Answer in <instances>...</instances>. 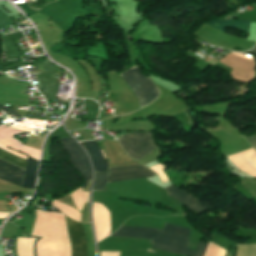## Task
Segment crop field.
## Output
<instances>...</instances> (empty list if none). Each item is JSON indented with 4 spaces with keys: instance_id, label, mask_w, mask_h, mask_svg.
Here are the masks:
<instances>
[{
    "instance_id": "obj_6",
    "label": "crop field",
    "mask_w": 256,
    "mask_h": 256,
    "mask_svg": "<svg viewBox=\"0 0 256 256\" xmlns=\"http://www.w3.org/2000/svg\"><path fill=\"white\" fill-rule=\"evenodd\" d=\"M61 140L63 148L68 154L74 167L84 178L83 187H86L88 179H91V169L86 154L72 138Z\"/></svg>"
},
{
    "instance_id": "obj_4",
    "label": "crop field",
    "mask_w": 256,
    "mask_h": 256,
    "mask_svg": "<svg viewBox=\"0 0 256 256\" xmlns=\"http://www.w3.org/2000/svg\"><path fill=\"white\" fill-rule=\"evenodd\" d=\"M120 76L136 94L140 107L151 103L159 97L160 90L150 78L144 77L136 66L128 69Z\"/></svg>"
},
{
    "instance_id": "obj_15",
    "label": "crop field",
    "mask_w": 256,
    "mask_h": 256,
    "mask_svg": "<svg viewBox=\"0 0 256 256\" xmlns=\"http://www.w3.org/2000/svg\"><path fill=\"white\" fill-rule=\"evenodd\" d=\"M0 109L6 111L7 116L10 115V114L13 115V116H15V117H17V118L20 116V115H19L18 113H16L14 110L8 109V108H6V107L3 106V105H0ZM0 120H1V119H0ZM0 125H2L1 122H0Z\"/></svg>"
},
{
    "instance_id": "obj_26",
    "label": "crop field",
    "mask_w": 256,
    "mask_h": 256,
    "mask_svg": "<svg viewBox=\"0 0 256 256\" xmlns=\"http://www.w3.org/2000/svg\"><path fill=\"white\" fill-rule=\"evenodd\" d=\"M211 59V58H210ZM213 60V59H212Z\"/></svg>"
},
{
    "instance_id": "obj_12",
    "label": "crop field",
    "mask_w": 256,
    "mask_h": 256,
    "mask_svg": "<svg viewBox=\"0 0 256 256\" xmlns=\"http://www.w3.org/2000/svg\"><path fill=\"white\" fill-rule=\"evenodd\" d=\"M106 174H107V171L95 172L94 189L106 191Z\"/></svg>"
},
{
    "instance_id": "obj_17",
    "label": "crop field",
    "mask_w": 256,
    "mask_h": 256,
    "mask_svg": "<svg viewBox=\"0 0 256 256\" xmlns=\"http://www.w3.org/2000/svg\"><path fill=\"white\" fill-rule=\"evenodd\" d=\"M17 237H26V236H16L15 237V244H14L15 256H17V251H16V238ZM26 238H29V237H26ZM36 238H38V239L34 242V256H36V242L40 239L39 237H36Z\"/></svg>"
},
{
    "instance_id": "obj_14",
    "label": "crop field",
    "mask_w": 256,
    "mask_h": 256,
    "mask_svg": "<svg viewBox=\"0 0 256 256\" xmlns=\"http://www.w3.org/2000/svg\"><path fill=\"white\" fill-rule=\"evenodd\" d=\"M150 169H152L153 171H155L157 173V175L160 177L161 181L167 180V177L165 176V174L162 171L165 168L161 164L153 166V167H150ZM168 181L169 180L163 181L162 183L168 182Z\"/></svg>"
},
{
    "instance_id": "obj_5",
    "label": "crop field",
    "mask_w": 256,
    "mask_h": 256,
    "mask_svg": "<svg viewBox=\"0 0 256 256\" xmlns=\"http://www.w3.org/2000/svg\"><path fill=\"white\" fill-rule=\"evenodd\" d=\"M118 141L129 156L138 161L157 148L152 133H128Z\"/></svg>"
},
{
    "instance_id": "obj_21",
    "label": "crop field",
    "mask_w": 256,
    "mask_h": 256,
    "mask_svg": "<svg viewBox=\"0 0 256 256\" xmlns=\"http://www.w3.org/2000/svg\"><path fill=\"white\" fill-rule=\"evenodd\" d=\"M205 60H207V61H209L210 63H212V64H214L215 62H213V61H211V60H209V59H205Z\"/></svg>"
},
{
    "instance_id": "obj_16",
    "label": "crop field",
    "mask_w": 256,
    "mask_h": 256,
    "mask_svg": "<svg viewBox=\"0 0 256 256\" xmlns=\"http://www.w3.org/2000/svg\"><path fill=\"white\" fill-rule=\"evenodd\" d=\"M243 137L247 140V142H248L253 148L256 149V135L253 136V137H245V136H243Z\"/></svg>"
},
{
    "instance_id": "obj_10",
    "label": "crop field",
    "mask_w": 256,
    "mask_h": 256,
    "mask_svg": "<svg viewBox=\"0 0 256 256\" xmlns=\"http://www.w3.org/2000/svg\"><path fill=\"white\" fill-rule=\"evenodd\" d=\"M207 24H209L221 31H223V29L225 27H236L239 30H242V31H245L248 33L249 26H250V20H237V21H235V20H223V21L213 20Z\"/></svg>"
},
{
    "instance_id": "obj_7",
    "label": "crop field",
    "mask_w": 256,
    "mask_h": 256,
    "mask_svg": "<svg viewBox=\"0 0 256 256\" xmlns=\"http://www.w3.org/2000/svg\"><path fill=\"white\" fill-rule=\"evenodd\" d=\"M108 183L119 182L137 178H143L148 176H154L155 174L147 169L143 165H134V166H122L108 168Z\"/></svg>"
},
{
    "instance_id": "obj_9",
    "label": "crop field",
    "mask_w": 256,
    "mask_h": 256,
    "mask_svg": "<svg viewBox=\"0 0 256 256\" xmlns=\"http://www.w3.org/2000/svg\"><path fill=\"white\" fill-rule=\"evenodd\" d=\"M24 170L0 160V179L21 187Z\"/></svg>"
},
{
    "instance_id": "obj_11",
    "label": "crop field",
    "mask_w": 256,
    "mask_h": 256,
    "mask_svg": "<svg viewBox=\"0 0 256 256\" xmlns=\"http://www.w3.org/2000/svg\"><path fill=\"white\" fill-rule=\"evenodd\" d=\"M1 146H7L0 143ZM0 158L24 169L26 160L0 149Z\"/></svg>"
},
{
    "instance_id": "obj_19",
    "label": "crop field",
    "mask_w": 256,
    "mask_h": 256,
    "mask_svg": "<svg viewBox=\"0 0 256 256\" xmlns=\"http://www.w3.org/2000/svg\"><path fill=\"white\" fill-rule=\"evenodd\" d=\"M229 56H233V57H237V58H241V59H244V60H248V61H253V59H249V58H245V57H242V56H238L236 54H233V53H230Z\"/></svg>"
},
{
    "instance_id": "obj_2",
    "label": "crop field",
    "mask_w": 256,
    "mask_h": 256,
    "mask_svg": "<svg viewBox=\"0 0 256 256\" xmlns=\"http://www.w3.org/2000/svg\"><path fill=\"white\" fill-rule=\"evenodd\" d=\"M103 149H100L96 141L84 142L93 164L95 171L107 170L106 167L140 164L130 158L117 141L105 140L100 142Z\"/></svg>"
},
{
    "instance_id": "obj_8",
    "label": "crop field",
    "mask_w": 256,
    "mask_h": 256,
    "mask_svg": "<svg viewBox=\"0 0 256 256\" xmlns=\"http://www.w3.org/2000/svg\"><path fill=\"white\" fill-rule=\"evenodd\" d=\"M169 196L178 199L181 203L190 209L195 214H199L206 210L197 200L191 197L189 194L176 189L173 186L164 188Z\"/></svg>"
},
{
    "instance_id": "obj_23",
    "label": "crop field",
    "mask_w": 256,
    "mask_h": 256,
    "mask_svg": "<svg viewBox=\"0 0 256 256\" xmlns=\"http://www.w3.org/2000/svg\"><path fill=\"white\" fill-rule=\"evenodd\" d=\"M0 70L2 71L1 67H0ZM1 71H0V73H1ZM2 73H3V71H2Z\"/></svg>"
},
{
    "instance_id": "obj_22",
    "label": "crop field",
    "mask_w": 256,
    "mask_h": 256,
    "mask_svg": "<svg viewBox=\"0 0 256 256\" xmlns=\"http://www.w3.org/2000/svg\"><path fill=\"white\" fill-rule=\"evenodd\" d=\"M197 53H198V52H197ZM197 53H195V55H197V56H199V57H201V58L203 57V56H201V55H199V54H197Z\"/></svg>"
},
{
    "instance_id": "obj_25",
    "label": "crop field",
    "mask_w": 256,
    "mask_h": 256,
    "mask_svg": "<svg viewBox=\"0 0 256 256\" xmlns=\"http://www.w3.org/2000/svg\"><path fill=\"white\" fill-rule=\"evenodd\" d=\"M204 50V49H203ZM206 51V50H205ZM207 52H210V51H207Z\"/></svg>"
},
{
    "instance_id": "obj_20",
    "label": "crop field",
    "mask_w": 256,
    "mask_h": 256,
    "mask_svg": "<svg viewBox=\"0 0 256 256\" xmlns=\"http://www.w3.org/2000/svg\"><path fill=\"white\" fill-rule=\"evenodd\" d=\"M249 52H251V53H255V54H256V47H255V48H253L252 50H250Z\"/></svg>"
},
{
    "instance_id": "obj_18",
    "label": "crop field",
    "mask_w": 256,
    "mask_h": 256,
    "mask_svg": "<svg viewBox=\"0 0 256 256\" xmlns=\"http://www.w3.org/2000/svg\"><path fill=\"white\" fill-rule=\"evenodd\" d=\"M120 252H101V256H119Z\"/></svg>"
},
{
    "instance_id": "obj_13",
    "label": "crop field",
    "mask_w": 256,
    "mask_h": 256,
    "mask_svg": "<svg viewBox=\"0 0 256 256\" xmlns=\"http://www.w3.org/2000/svg\"><path fill=\"white\" fill-rule=\"evenodd\" d=\"M12 24H14V22L2 10H0V29Z\"/></svg>"
},
{
    "instance_id": "obj_24",
    "label": "crop field",
    "mask_w": 256,
    "mask_h": 256,
    "mask_svg": "<svg viewBox=\"0 0 256 256\" xmlns=\"http://www.w3.org/2000/svg\"><path fill=\"white\" fill-rule=\"evenodd\" d=\"M211 55H213V56H215V57H216V55H214V54H211Z\"/></svg>"
},
{
    "instance_id": "obj_1",
    "label": "crop field",
    "mask_w": 256,
    "mask_h": 256,
    "mask_svg": "<svg viewBox=\"0 0 256 256\" xmlns=\"http://www.w3.org/2000/svg\"><path fill=\"white\" fill-rule=\"evenodd\" d=\"M190 229L166 223L163 230L122 226L111 237H139L151 239L152 247L171 253L192 256L193 250L188 249ZM207 244L197 246L193 256H204Z\"/></svg>"
},
{
    "instance_id": "obj_3",
    "label": "crop field",
    "mask_w": 256,
    "mask_h": 256,
    "mask_svg": "<svg viewBox=\"0 0 256 256\" xmlns=\"http://www.w3.org/2000/svg\"><path fill=\"white\" fill-rule=\"evenodd\" d=\"M72 256H95L90 223H77L67 217Z\"/></svg>"
}]
</instances>
